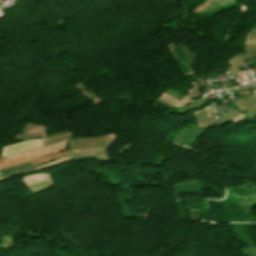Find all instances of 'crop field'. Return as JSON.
<instances>
[{"label":"crop field","instance_id":"8a807250","mask_svg":"<svg viewBox=\"0 0 256 256\" xmlns=\"http://www.w3.org/2000/svg\"><path fill=\"white\" fill-rule=\"evenodd\" d=\"M63 149H65V148L61 147V148H57V149H53V150H49V151L29 155V156H27L25 153H23V154L17 155V156L12 157V158L0 159V169L3 168V167L9 166V165H13V164L29 161V160H32V159H36V158L54 153L58 150L61 151Z\"/></svg>","mask_w":256,"mask_h":256}]
</instances>
